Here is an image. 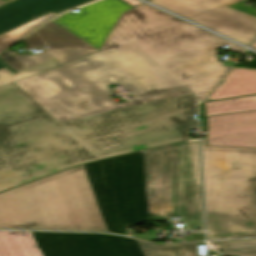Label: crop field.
<instances>
[{"label":"crop field","mask_w":256,"mask_h":256,"mask_svg":"<svg viewBox=\"0 0 256 256\" xmlns=\"http://www.w3.org/2000/svg\"><path fill=\"white\" fill-rule=\"evenodd\" d=\"M248 1L250 0H246L228 7L256 16V8L245 5Z\"/></svg>","instance_id":"bc2a9ffb"},{"label":"crop field","mask_w":256,"mask_h":256,"mask_svg":"<svg viewBox=\"0 0 256 256\" xmlns=\"http://www.w3.org/2000/svg\"><path fill=\"white\" fill-rule=\"evenodd\" d=\"M252 47L256 49V42L252 45Z\"/></svg>","instance_id":"00972430"},{"label":"crop field","mask_w":256,"mask_h":256,"mask_svg":"<svg viewBox=\"0 0 256 256\" xmlns=\"http://www.w3.org/2000/svg\"><path fill=\"white\" fill-rule=\"evenodd\" d=\"M0 256H197L196 243L154 245L109 234L0 231Z\"/></svg>","instance_id":"e52e79f7"},{"label":"crop field","mask_w":256,"mask_h":256,"mask_svg":"<svg viewBox=\"0 0 256 256\" xmlns=\"http://www.w3.org/2000/svg\"><path fill=\"white\" fill-rule=\"evenodd\" d=\"M207 239L256 236V149L206 146Z\"/></svg>","instance_id":"f4fd0767"},{"label":"crop field","mask_w":256,"mask_h":256,"mask_svg":"<svg viewBox=\"0 0 256 256\" xmlns=\"http://www.w3.org/2000/svg\"><path fill=\"white\" fill-rule=\"evenodd\" d=\"M124 1L128 2L129 4H131V5H133V6H135V5L139 4V3H141V2H139V1H137V0H124Z\"/></svg>","instance_id":"92a150f3"},{"label":"crop field","mask_w":256,"mask_h":256,"mask_svg":"<svg viewBox=\"0 0 256 256\" xmlns=\"http://www.w3.org/2000/svg\"><path fill=\"white\" fill-rule=\"evenodd\" d=\"M45 113L14 83L0 87V128Z\"/></svg>","instance_id":"22f410ed"},{"label":"crop field","mask_w":256,"mask_h":256,"mask_svg":"<svg viewBox=\"0 0 256 256\" xmlns=\"http://www.w3.org/2000/svg\"><path fill=\"white\" fill-rule=\"evenodd\" d=\"M10 1H12V0H8V1H1V0H0V5L5 4V3H7V2H10Z\"/></svg>","instance_id":"dafd665d"},{"label":"crop field","mask_w":256,"mask_h":256,"mask_svg":"<svg viewBox=\"0 0 256 256\" xmlns=\"http://www.w3.org/2000/svg\"><path fill=\"white\" fill-rule=\"evenodd\" d=\"M133 39L200 101L230 69L218 61L216 49L228 45V51L245 50L146 4L123 13L100 51Z\"/></svg>","instance_id":"34b2d1b8"},{"label":"crop field","mask_w":256,"mask_h":256,"mask_svg":"<svg viewBox=\"0 0 256 256\" xmlns=\"http://www.w3.org/2000/svg\"><path fill=\"white\" fill-rule=\"evenodd\" d=\"M211 243H221L223 254L228 256H256V239Z\"/></svg>","instance_id":"4a817a6b"},{"label":"crop field","mask_w":256,"mask_h":256,"mask_svg":"<svg viewBox=\"0 0 256 256\" xmlns=\"http://www.w3.org/2000/svg\"><path fill=\"white\" fill-rule=\"evenodd\" d=\"M54 13H50L46 16H43L41 18L35 19L33 21H30L4 35L0 36V53L7 49L9 46H11L13 43H15L20 38L27 35L29 32L49 20L51 17H53ZM18 42V41H17Z\"/></svg>","instance_id":"733c2abd"},{"label":"crop field","mask_w":256,"mask_h":256,"mask_svg":"<svg viewBox=\"0 0 256 256\" xmlns=\"http://www.w3.org/2000/svg\"><path fill=\"white\" fill-rule=\"evenodd\" d=\"M207 116L255 111L256 96L227 99L206 103Z\"/></svg>","instance_id":"5142ce71"},{"label":"crop field","mask_w":256,"mask_h":256,"mask_svg":"<svg viewBox=\"0 0 256 256\" xmlns=\"http://www.w3.org/2000/svg\"><path fill=\"white\" fill-rule=\"evenodd\" d=\"M98 159L50 115L37 116L0 129V192Z\"/></svg>","instance_id":"dd49c442"},{"label":"crop field","mask_w":256,"mask_h":256,"mask_svg":"<svg viewBox=\"0 0 256 256\" xmlns=\"http://www.w3.org/2000/svg\"><path fill=\"white\" fill-rule=\"evenodd\" d=\"M23 40L30 49L43 48L44 50L33 56L28 54L20 55L11 51L2 53L0 59L11 66L15 71H21L48 62L52 57L62 65L98 52V50L92 46L51 21L47 22ZM46 46L49 48L46 49Z\"/></svg>","instance_id":"5a996713"},{"label":"crop field","mask_w":256,"mask_h":256,"mask_svg":"<svg viewBox=\"0 0 256 256\" xmlns=\"http://www.w3.org/2000/svg\"><path fill=\"white\" fill-rule=\"evenodd\" d=\"M184 217L203 227L198 139L77 166L0 193V228L109 231Z\"/></svg>","instance_id":"8a807250"},{"label":"crop field","mask_w":256,"mask_h":256,"mask_svg":"<svg viewBox=\"0 0 256 256\" xmlns=\"http://www.w3.org/2000/svg\"><path fill=\"white\" fill-rule=\"evenodd\" d=\"M15 84L58 121L189 93L117 104L110 85L122 84L140 98L186 88L135 40Z\"/></svg>","instance_id":"ac0d7876"},{"label":"crop field","mask_w":256,"mask_h":256,"mask_svg":"<svg viewBox=\"0 0 256 256\" xmlns=\"http://www.w3.org/2000/svg\"><path fill=\"white\" fill-rule=\"evenodd\" d=\"M248 95H256V69L234 67L208 101Z\"/></svg>","instance_id":"cbeb9de0"},{"label":"crop field","mask_w":256,"mask_h":256,"mask_svg":"<svg viewBox=\"0 0 256 256\" xmlns=\"http://www.w3.org/2000/svg\"><path fill=\"white\" fill-rule=\"evenodd\" d=\"M132 8L121 0H96L77 7L79 14L68 11L51 21L99 50L122 13Z\"/></svg>","instance_id":"3316defc"},{"label":"crop field","mask_w":256,"mask_h":256,"mask_svg":"<svg viewBox=\"0 0 256 256\" xmlns=\"http://www.w3.org/2000/svg\"><path fill=\"white\" fill-rule=\"evenodd\" d=\"M204 240V232L191 233V236L185 237V241Z\"/></svg>","instance_id":"214f88e0"},{"label":"crop field","mask_w":256,"mask_h":256,"mask_svg":"<svg viewBox=\"0 0 256 256\" xmlns=\"http://www.w3.org/2000/svg\"><path fill=\"white\" fill-rule=\"evenodd\" d=\"M207 145L256 148V111L207 117Z\"/></svg>","instance_id":"28ad6ade"},{"label":"crop field","mask_w":256,"mask_h":256,"mask_svg":"<svg viewBox=\"0 0 256 256\" xmlns=\"http://www.w3.org/2000/svg\"><path fill=\"white\" fill-rule=\"evenodd\" d=\"M196 108L188 94L59 123L103 159L188 139Z\"/></svg>","instance_id":"412701ff"},{"label":"crop field","mask_w":256,"mask_h":256,"mask_svg":"<svg viewBox=\"0 0 256 256\" xmlns=\"http://www.w3.org/2000/svg\"><path fill=\"white\" fill-rule=\"evenodd\" d=\"M89 0H16L0 8V33L48 11L59 12Z\"/></svg>","instance_id":"d1516ede"},{"label":"crop field","mask_w":256,"mask_h":256,"mask_svg":"<svg viewBox=\"0 0 256 256\" xmlns=\"http://www.w3.org/2000/svg\"><path fill=\"white\" fill-rule=\"evenodd\" d=\"M151 1L246 45L256 38V17L226 7L243 0Z\"/></svg>","instance_id":"d8731c3e"},{"label":"crop field","mask_w":256,"mask_h":256,"mask_svg":"<svg viewBox=\"0 0 256 256\" xmlns=\"http://www.w3.org/2000/svg\"><path fill=\"white\" fill-rule=\"evenodd\" d=\"M57 66H59V64L53 60L21 72H15L12 68L0 60V86L24 79Z\"/></svg>","instance_id":"d9b57169"}]
</instances>
